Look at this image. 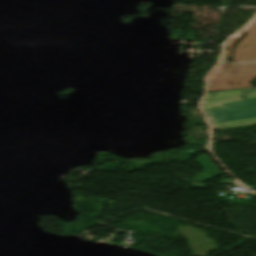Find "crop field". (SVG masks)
Returning <instances> with one entry per match:
<instances>
[{
	"instance_id": "obj_1",
	"label": "crop field",
	"mask_w": 256,
	"mask_h": 256,
	"mask_svg": "<svg viewBox=\"0 0 256 256\" xmlns=\"http://www.w3.org/2000/svg\"><path fill=\"white\" fill-rule=\"evenodd\" d=\"M256 97V89L222 92V93H207L203 108L209 117L214 129L231 128L256 124V118L237 120L225 123H215L207 109L222 107L225 103L243 101L246 98Z\"/></svg>"
},
{
	"instance_id": "obj_2",
	"label": "crop field",
	"mask_w": 256,
	"mask_h": 256,
	"mask_svg": "<svg viewBox=\"0 0 256 256\" xmlns=\"http://www.w3.org/2000/svg\"><path fill=\"white\" fill-rule=\"evenodd\" d=\"M216 121L237 120L256 116V98L239 103L226 104L222 108L209 110Z\"/></svg>"
},
{
	"instance_id": "obj_3",
	"label": "crop field",
	"mask_w": 256,
	"mask_h": 256,
	"mask_svg": "<svg viewBox=\"0 0 256 256\" xmlns=\"http://www.w3.org/2000/svg\"><path fill=\"white\" fill-rule=\"evenodd\" d=\"M194 160L205 172L193 178L192 180L200 182L204 180H210L215 176L221 175L219 170L213 165V163L208 159L206 155L198 156V158H195Z\"/></svg>"
}]
</instances>
